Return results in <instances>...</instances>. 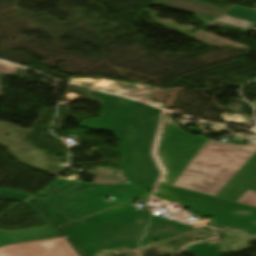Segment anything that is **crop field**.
I'll use <instances>...</instances> for the list:
<instances>
[{"label":"crop field","instance_id":"8a807250","mask_svg":"<svg viewBox=\"0 0 256 256\" xmlns=\"http://www.w3.org/2000/svg\"><path fill=\"white\" fill-rule=\"evenodd\" d=\"M93 94L101 101L104 114L97 120H83L81 126L114 133L124 147L120 168L131 184L149 194L158 177L150 149L160 109L96 91Z\"/></svg>","mask_w":256,"mask_h":256},{"label":"crop field","instance_id":"ac0d7876","mask_svg":"<svg viewBox=\"0 0 256 256\" xmlns=\"http://www.w3.org/2000/svg\"><path fill=\"white\" fill-rule=\"evenodd\" d=\"M207 141L173 186L236 201L256 190V148Z\"/></svg>","mask_w":256,"mask_h":256},{"label":"crop field","instance_id":"34b2d1b8","mask_svg":"<svg viewBox=\"0 0 256 256\" xmlns=\"http://www.w3.org/2000/svg\"><path fill=\"white\" fill-rule=\"evenodd\" d=\"M81 252L138 247L189 227L160 216L142 214L126 204L60 227Z\"/></svg>","mask_w":256,"mask_h":256},{"label":"crop field","instance_id":"412701ff","mask_svg":"<svg viewBox=\"0 0 256 256\" xmlns=\"http://www.w3.org/2000/svg\"><path fill=\"white\" fill-rule=\"evenodd\" d=\"M108 195L114 199L103 200ZM146 195L131 184L102 187L81 183L44 200L61 209L68 220L73 221Z\"/></svg>","mask_w":256,"mask_h":256},{"label":"crop field","instance_id":"f4fd0767","mask_svg":"<svg viewBox=\"0 0 256 256\" xmlns=\"http://www.w3.org/2000/svg\"><path fill=\"white\" fill-rule=\"evenodd\" d=\"M155 195L170 202L181 203L189 207L196 216L215 218L214 225L238 226L256 233V226L247 222L248 220L256 219L255 207L161 184L157 185ZM231 210H249L252 215L238 217L231 214Z\"/></svg>","mask_w":256,"mask_h":256},{"label":"crop field","instance_id":"dd49c442","mask_svg":"<svg viewBox=\"0 0 256 256\" xmlns=\"http://www.w3.org/2000/svg\"><path fill=\"white\" fill-rule=\"evenodd\" d=\"M206 140L161 121L153 151L163 171L159 182L171 185Z\"/></svg>","mask_w":256,"mask_h":256},{"label":"crop field","instance_id":"e52e79f7","mask_svg":"<svg viewBox=\"0 0 256 256\" xmlns=\"http://www.w3.org/2000/svg\"><path fill=\"white\" fill-rule=\"evenodd\" d=\"M0 256H78L63 238L7 245L0 248Z\"/></svg>","mask_w":256,"mask_h":256},{"label":"crop field","instance_id":"d8731c3e","mask_svg":"<svg viewBox=\"0 0 256 256\" xmlns=\"http://www.w3.org/2000/svg\"><path fill=\"white\" fill-rule=\"evenodd\" d=\"M25 203L40 215V217L43 219V221L46 223L48 227L36 228V229L25 230L20 232H11V233H4L0 231V246L5 244L63 235L62 233L61 235L60 232L56 229V227L51 222V220L47 217L44 211H42L39 207H37L35 204H33L29 200Z\"/></svg>","mask_w":256,"mask_h":256},{"label":"crop field","instance_id":"5a996713","mask_svg":"<svg viewBox=\"0 0 256 256\" xmlns=\"http://www.w3.org/2000/svg\"><path fill=\"white\" fill-rule=\"evenodd\" d=\"M154 1L163 3V4H167V5H171V6H175V7H179L182 9L189 10V11H193V12H195L198 19H200L208 24L210 22L216 20L217 18H219L222 14L198 9L199 6L203 5V6H207V7L217 9L220 11H224V12L228 11V9L208 5V4L193 1V0H154Z\"/></svg>","mask_w":256,"mask_h":256},{"label":"crop field","instance_id":"3316defc","mask_svg":"<svg viewBox=\"0 0 256 256\" xmlns=\"http://www.w3.org/2000/svg\"><path fill=\"white\" fill-rule=\"evenodd\" d=\"M216 21L248 29L256 23V10L235 5Z\"/></svg>","mask_w":256,"mask_h":256},{"label":"crop field","instance_id":"28ad6ade","mask_svg":"<svg viewBox=\"0 0 256 256\" xmlns=\"http://www.w3.org/2000/svg\"><path fill=\"white\" fill-rule=\"evenodd\" d=\"M33 202H35L38 206L42 207L44 210L47 211V213L54 219V221L60 225L67 223V220L62 215L61 211L57 210L56 208L52 207L48 203L34 197L31 199Z\"/></svg>","mask_w":256,"mask_h":256},{"label":"crop field","instance_id":"d1516ede","mask_svg":"<svg viewBox=\"0 0 256 256\" xmlns=\"http://www.w3.org/2000/svg\"><path fill=\"white\" fill-rule=\"evenodd\" d=\"M195 256H219L215 244L200 245L189 249Z\"/></svg>","mask_w":256,"mask_h":256},{"label":"crop field","instance_id":"22f410ed","mask_svg":"<svg viewBox=\"0 0 256 256\" xmlns=\"http://www.w3.org/2000/svg\"><path fill=\"white\" fill-rule=\"evenodd\" d=\"M238 201L244 204L256 206V192L247 191Z\"/></svg>","mask_w":256,"mask_h":256},{"label":"crop field","instance_id":"cbeb9de0","mask_svg":"<svg viewBox=\"0 0 256 256\" xmlns=\"http://www.w3.org/2000/svg\"><path fill=\"white\" fill-rule=\"evenodd\" d=\"M19 66L0 62V73L13 74Z\"/></svg>","mask_w":256,"mask_h":256},{"label":"crop field","instance_id":"5142ce71","mask_svg":"<svg viewBox=\"0 0 256 256\" xmlns=\"http://www.w3.org/2000/svg\"><path fill=\"white\" fill-rule=\"evenodd\" d=\"M0 194H6V195H18V196H24V197H29L30 195L22 193V192H17V191H9V190H1L0 189Z\"/></svg>","mask_w":256,"mask_h":256},{"label":"crop field","instance_id":"d9b57169","mask_svg":"<svg viewBox=\"0 0 256 256\" xmlns=\"http://www.w3.org/2000/svg\"><path fill=\"white\" fill-rule=\"evenodd\" d=\"M232 213L238 215V216H249L251 215L248 211H231Z\"/></svg>","mask_w":256,"mask_h":256},{"label":"crop field","instance_id":"733c2abd","mask_svg":"<svg viewBox=\"0 0 256 256\" xmlns=\"http://www.w3.org/2000/svg\"><path fill=\"white\" fill-rule=\"evenodd\" d=\"M2 199H10V200H19L24 201L26 198H18V197H7V196H0Z\"/></svg>","mask_w":256,"mask_h":256},{"label":"crop field","instance_id":"4a817a6b","mask_svg":"<svg viewBox=\"0 0 256 256\" xmlns=\"http://www.w3.org/2000/svg\"><path fill=\"white\" fill-rule=\"evenodd\" d=\"M83 256H96V253H88V254H84Z\"/></svg>","mask_w":256,"mask_h":256},{"label":"crop field","instance_id":"bc2a9ffb","mask_svg":"<svg viewBox=\"0 0 256 256\" xmlns=\"http://www.w3.org/2000/svg\"><path fill=\"white\" fill-rule=\"evenodd\" d=\"M200 244H206V243H199V244H196V245H194V246H197V245H200ZM194 246H191V247H194ZM191 247H188V248H186L185 250H187V249H189V248H191ZM188 251V250H187Z\"/></svg>","mask_w":256,"mask_h":256},{"label":"crop field","instance_id":"214f88e0","mask_svg":"<svg viewBox=\"0 0 256 256\" xmlns=\"http://www.w3.org/2000/svg\"><path fill=\"white\" fill-rule=\"evenodd\" d=\"M248 222H250V223L256 225V220H251V221H248Z\"/></svg>","mask_w":256,"mask_h":256},{"label":"crop field","instance_id":"92a150f3","mask_svg":"<svg viewBox=\"0 0 256 256\" xmlns=\"http://www.w3.org/2000/svg\"><path fill=\"white\" fill-rule=\"evenodd\" d=\"M91 96H92V98H94V99H96V100H98L92 93H91Z\"/></svg>","mask_w":256,"mask_h":256}]
</instances>
